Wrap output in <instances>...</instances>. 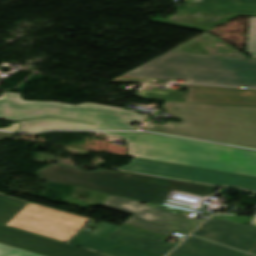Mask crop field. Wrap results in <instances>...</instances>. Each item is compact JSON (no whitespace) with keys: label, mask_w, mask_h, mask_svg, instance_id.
<instances>
[{"label":"crop field","mask_w":256,"mask_h":256,"mask_svg":"<svg viewBox=\"0 0 256 256\" xmlns=\"http://www.w3.org/2000/svg\"><path fill=\"white\" fill-rule=\"evenodd\" d=\"M166 79L256 88V59L168 52L111 82L162 85Z\"/></svg>","instance_id":"crop-field-1"},{"label":"crop field","mask_w":256,"mask_h":256,"mask_svg":"<svg viewBox=\"0 0 256 256\" xmlns=\"http://www.w3.org/2000/svg\"><path fill=\"white\" fill-rule=\"evenodd\" d=\"M18 93H2L0 118L20 123L18 132H37L48 129H114L137 130L130 126L143 115L119 107L84 103L63 104L56 108L26 102Z\"/></svg>","instance_id":"crop-field-2"},{"label":"crop field","mask_w":256,"mask_h":256,"mask_svg":"<svg viewBox=\"0 0 256 256\" xmlns=\"http://www.w3.org/2000/svg\"><path fill=\"white\" fill-rule=\"evenodd\" d=\"M164 107L182 122L149 123L142 130L256 149V106L165 102Z\"/></svg>","instance_id":"crop-field-3"},{"label":"crop field","mask_w":256,"mask_h":256,"mask_svg":"<svg viewBox=\"0 0 256 256\" xmlns=\"http://www.w3.org/2000/svg\"><path fill=\"white\" fill-rule=\"evenodd\" d=\"M100 133L122 137L131 157L256 176L255 151L151 133Z\"/></svg>","instance_id":"crop-field-4"},{"label":"crop field","mask_w":256,"mask_h":256,"mask_svg":"<svg viewBox=\"0 0 256 256\" xmlns=\"http://www.w3.org/2000/svg\"><path fill=\"white\" fill-rule=\"evenodd\" d=\"M39 179L160 205L174 191L207 196L217 187L101 169L90 172L51 163L36 172Z\"/></svg>","instance_id":"crop-field-5"},{"label":"crop field","mask_w":256,"mask_h":256,"mask_svg":"<svg viewBox=\"0 0 256 256\" xmlns=\"http://www.w3.org/2000/svg\"><path fill=\"white\" fill-rule=\"evenodd\" d=\"M237 16H256V0H191L185 10L150 22L208 31Z\"/></svg>","instance_id":"crop-field-6"},{"label":"crop field","mask_w":256,"mask_h":256,"mask_svg":"<svg viewBox=\"0 0 256 256\" xmlns=\"http://www.w3.org/2000/svg\"><path fill=\"white\" fill-rule=\"evenodd\" d=\"M89 219L30 202L7 225L66 242Z\"/></svg>","instance_id":"crop-field-7"},{"label":"crop field","mask_w":256,"mask_h":256,"mask_svg":"<svg viewBox=\"0 0 256 256\" xmlns=\"http://www.w3.org/2000/svg\"><path fill=\"white\" fill-rule=\"evenodd\" d=\"M103 206L133 215L124 224L169 237L176 230L188 234L200 222L152 208L136 200L112 196Z\"/></svg>","instance_id":"crop-field-8"},{"label":"crop field","mask_w":256,"mask_h":256,"mask_svg":"<svg viewBox=\"0 0 256 256\" xmlns=\"http://www.w3.org/2000/svg\"><path fill=\"white\" fill-rule=\"evenodd\" d=\"M123 170L198 181L216 185H233L256 191V177L199 169L139 158H133Z\"/></svg>","instance_id":"crop-field-9"},{"label":"crop field","mask_w":256,"mask_h":256,"mask_svg":"<svg viewBox=\"0 0 256 256\" xmlns=\"http://www.w3.org/2000/svg\"><path fill=\"white\" fill-rule=\"evenodd\" d=\"M183 87L189 89V92L168 91L154 86H146L138 91L136 96L160 101L256 105V89L190 84H184Z\"/></svg>","instance_id":"crop-field-10"},{"label":"crop field","mask_w":256,"mask_h":256,"mask_svg":"<svg viewBox=\"0 0 256 256\" xmlns=\"http://www.w3.org/2000/svg\"><path fill=\"white\" fill-rule=\"evenodd\" d=\"M0 242L45 256H104L0 225Z\"/></svg>","instance_id":"crop-field-11"},{"label":"crop field","mask_w":256,"mask_h":256,"mask_svg":"<svg viewBox=\"0 0 256 256\" xmlns=\"http://www.w3.org/2000/svg\"><path fill=\"white\" fill-rule=\"evenodd\" d=\"M192 234L247 252L256 240V226L211 217Z\"/></svg>","instance_id":"crop-field-12"},{"label":"crop field","mask_w":256,"mask_h":256,"mask_svg":"<svg viewBox=\"0 0 256 256\" xmlns=\"http://www.w3.org/2000/svg\"><path fill=\"white\" fill-rule=\"evenodd\" d=\"M107 239L157 255L167 254L174 245L164 243L166 239L154 234L121 225Z\"/></svg>","instance_id":"crop-field-13"},{"label":"crop field","mask_w":256,"mask_h":256,"mask_svg":"<svg viewBox=\"0 0 256 256\" xmlns=\"http://www.w3.org/2000/svg\"><path fill=\"white\" fill-rule=\"evenodd\" d=\"M168 256H244V253L191 236Z\"/></svg>","instance_id":"crop-field-14"},{"label":"crop field","mask_w":256,"mask_h":256,"mask_svg":"<svg viewBox=\"0 0 256 256\" xmlns=\"http://www.w3.org/2000/svg\"><path fill=\"white\" fill-rule=\"evenodd\" d=\"M117 227L118 226L102 222L89 235L79 232L69 240L68 243L102 252L117 245V243L104 239Z\"/></svg>","instance_id":"crop-field-15"},{"label":"crop field","mask_w":256,"mask_h":256,"mask_svg":"<svg viewBox=\"0 0 256 256\" xmlns=\"http://www.w3.org/2000/svg\"><path fill=\"white\" fill-rule=\"evenodd\" d=\"M28 203L0 194V224H6Z\"/></svg>","instance_id":"crop-field-16"},{"label":"crop field","mask_w":256,"mask_h":256,"mask_svg":"<svg viewBox=\"0 0 256 256\" xmlns=\"http://www.w3.org/2000/svg\"><path fill=\"white\" fill-rule=\"evenodd\" d=\"M103 254L111 256H157L151 253L133 249L127 246L120 245L112 250H109Z\"/></svg>","instance_id":"crop-field-17"},{"label":"crop field","mask_w":256,"mask_h":256,"mask_svg":"<svg viewBox=\"0 0 256 256\" xmlns=\"http://www.w3.org/2000/svg\"><path fill=\"white\" fill-rule=\"evenodd\" d=\"M246 53L256 57V17H251Z\"/></svg>","instance_id":"crop-field-18"},{"label":"crop field","mask_w":256,"mask_h":256,"mask_svg":"<svg viewBox=\"0 0 256 256\" xmlns=\"http://www.w3.org/2000/svg\"><path fill=\"white\" fill-rule=\"evenodd\" d=\"M0 256H42L16 247L0 243Z\"/></svg>","instance_id":"crop-field-19"},{"label":"crop field","mask_w":256,"mask_h":256,"mask_svg":"<svg viewBox=\"0 0 256 256\" xmlns=\"http://www.w3.org/2000/svg\"><path fill=\"white\" fill-rule=\"evenodd\" d=\"M20 124L13 123L10 127L0 129V130H7V131H13L16 132Z\"/></svg>","instance_id":"crop-field-20"},{"label":"crop field","mask_w":256,"mask_h":256,"mask_svg":"<svg viewBox=\"0 0 256 256\" xmlns=\"http://www.w3.org/2000/svg\"><path fill=\"white\" fill-rule=\"evenodd\" d=\"M15 134H10V133H0V141L5 139V138H10L13 139Z\"/></svg>","instance_id":"crop-field-21"},{"label":"crop field","mask_w":256,"mask_h":256,"mask_svg":"<svg viewBox=\"0 0 256 256\" xmlns=\"http://www.w3.org/2000/svg\"><path fill=\"white\" fill-rule=\"evenodd\" d=\"M33 103L42 104V105H47V106H52V107H56V106H58V105L63 104V103H42V102H33Z\"/></svg>","instance_id":"crop-field-22"},{"label":"crop field","mask_w":256,"mask_h":256,"mask_svg":"<svg viewBox=\"0 0 256 256\" xmlns=\"http://www.w3.org/2000/svg\"><path fill=\"white\" fill-rule=\"evenodd\" d=\"M248 253L256 254V242L253 244V246L249 249Z\"/></svg>","instance_id":"crop-field-23"},{"label":"crop field","mask_w":256,"mask_h":256,"mask_svg":"<svg viewBox=\"0 0 256 256\" xmlns=\"http://www.w3.org/2000/svg\"><path fill=\"white\" fill-rule=\"evenodd\" d=\"M250 224L251 225H256V216L252 218Z\"/></svg>","instance_id":"crop-field-24"},{"label":"crop field","mask_w":256,"mask_h":256,"mask_svg":"<svg viewBox=\"0 0 256 256\" xmlns=\"http://www.w3.org/2000/svg\"><path fill=\"white\" fill-rule=\"evenodd\" d=\"M245 256H253V255L245 254Z\"/></svg>","instance_id":"crop-field-25"}]
</instances>
